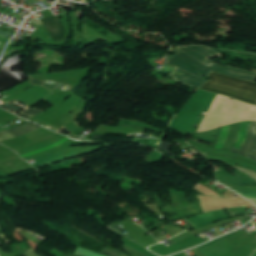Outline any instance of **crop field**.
Instances as JSON below:
<instances>
[{"label": "crop field", "mask_w": 256, "mask_h": 256, "mask_svg": "<svg viewBox=\"0 0 256 256\" xmlns=\"http://www.w3.org/2000/svg\"><path fill=\"white\" fill-rule=\"evenodd\" d=\"M41 112H43V110H36V108L31 107L29 110H27V111H25V112H23L21 114L31 118V117H33V116H35V115H37V114H39Z\"/></svg>", "instance_id": "crop-field-15"}, {"label": "crop field", "mask_w": 256, "mask_h": 256, "mask_svg": "<svg viewBox=\"0 0 256 256\" xmlns=\"http://www.w3.org/2000/svg\"><path fill=\"white\" fill-rule=\"evenodd\" d=\"M7 40H8V38H4V37L0 36V43L5 44Z\"/></svg>", "instance_id": "crop-field-21"}, {"label": "crop field", "mask_w": 256, "mask_h": 256, "mask_svg": "<svg viewBox=\"0 0 256 256\" xmlns=\"http://www.w3.org/2000/svg\"><path fill=\"white\" fill-rule=\"evenodd\" d=\"M247 157L256 161V132L252 139L250 151H249Z\"/></svg>", "instance_id": "crop-field-14"}, {"label": "crop field", "mask_w": 256, "mask_h": 256, "mask_svg": "<svg viewBox=\"0 0 256 256\" xmlns=\"http://www.w3.org/2000/svg\"><path fill=\"white\" fill-rule=\"evenodd\" d=\"M3 44H0V49L2 48Z\"/></svg>", "instance_id": "crop-field-24"}, {"label": "crop field", "mask_w": 256, "mask_h": 256, "mask_svg": "<svg viewBox=\"0 0 256 256\" xmlns=\"http://www.w3.org/2000/svg\"><path fill=\"white\" fill-rule=\"evenodd\" d=\"M39 128H41V127L29 122V123L21 125L17 128H14L12 130L0 132V141L6 140L9 138H13V137H17V136H21L23 134L29 133V132L34 131Z\"/></svg>", "instance_id": "crop-field-5"}, {"label": "crop field", "mask_w": 256, "mask_h": 256, "mask_svg": "<svg viewBox=\"0 0 256 256\" xmlns=\"http://www.w3.org/2000/svg\"><path fill=\"white\" fill-rule=\"evenodd\" d=\"M249 256H256V249Z\"/></svg>", "instance_id": "crop-field-23"}, {"label": "crop field", "mask_w": 256, "mask_h": 256, "mask_svg": "<svg viewBox=\"0 0 256 256\" xmlns=\"http://www.w3.org/2000/svg\"><path fill=\"white\" fill-rule=\"evenodd\" d=\"M206 82V91L231 96L237 100L256 105V84L217 73H211Z\"/></svg>", "instance_id": "crop-field-2"}, {"label": "crop field", "mask_w": 256, "mask_h": 256, "mask_svg": "<svg viewBox=\"0 0 256 256\" xmlns=\"http://www.w3.org/2000/svg\"><path fill=\"white\" fill-rule=\"evenodd\" d=\"M42 22L56 42L65 40V30L59 16L42 19Z\"/></svg>", "instance_id": "crop-field-3"}, {"label": "crop field", "mask_w": 256, "mask_h": 256, "mask_svg": "<svg viewBox=\"0 0 256 256\" xmlns=\"http://www.w3.org/2000/svg\"><path fill=\"white\" fill-rule=\"evenodd\" d=\"M181 72L183 73L182 75H180L179 73L177 72ZM172 76L175 77L176 80L178 81H181L185 84H188V85H191V86H194V87H197V88H201V86L203 85V83L205 82L204 80L184 71V70H181L179 68H177Z\"/></svg>", "instance_id": "crop-field-6"}, {"label": "crop field", "mask_w": 256, "mask_h": 256, "mask_svg": "<svg viewBox=\"0 0 256 256\" xmlns=\"http://www.w3.org/2000/svg\"><path fill=\"white\" fill-rule=\"evenodd\" d=\"M123 246H124V249H125L128 253H130L132 256H145V255L141 254L140 252H138V251H136V250H134V249H131V248L125 246V245H123ZM105 250H108V251H110V252L116 253V254H118V255H120V256H127V255H125V254H123V253H121V252H119V251H117V250H115V249H109V248L106 247Z\"/></svg>", "instance_id": "crop-field-12"}, {"label": "crop field", "mask_w": 256, "mask_h": 256, "mask_svg": "<svg viewBox=\"0 0 256 256\" xmlns=\"http://www.w3.org/2000/svg\"><path fill=\"white\" fill-rule=\"evenodd\" d=\"M226 218V215L224 214L223 210L215 211V212H209L206 214L198 215L192 218H188L187 220L195 227H201L207 224H210L212 222L218 221L220 219Z\"/></svg>", "instance_id": "crop-field-4"}, {"label": "crop field", "mask_w": 256, "mask_h": 256, "mask_svg": "<svg viewBox=\"0 0 256 256\" xmlns=\"http://www.w3.org/2000/svg\"><path fill=\"white\" fill-rule=\"evenodd\" d=\"M22 255H24V256H38L36 254L35 250H33V249L28 251V252H26V253H24V254H22Z\"/></svg>", "instance_id": "crop-field-19"}, {"label": "crop field", "mask_w": 256, "mask_h": 256, "mask_svg": "<svg viewBox=\"0 0 256 256\" xmlns=\"http://www.w3.org/2000/svg\"><path fill=\"white\" fill-rule=\"evenodd\" d=\"M67 139H69V138L66 137L65 139H63V140H61V141H59V142H57V143H55V144H52V145H50V146H47V147L41 148V149H39V150L33 151V152L29 153V154L21 155V157H22V158L28 157V156H31V155L40 153V152H42V151L51 149V148H53V147H55V146H57V145L63 143V142L66 141Z\"/></svg>", "instance_id": "crop-field-13"}, {"label": "crop field", "mask_w": 256, "mask_h": 256, "mask_svg": "<svg viewBox=\"0 0 256 256\" xmlns=\"http://www.w3.org/2000/svg\"><path fill=\"white\" fill-rule=\"evenodd\" d=\"M244 214H247L246 211H244V212H233V213H231L232 216L244 215Z\"/></svg>", "instance_id": "crop-field-20"}, {"label": "crop field", "mask_w": 256, "mask_h": 256, "mask_svg": "<svg viewBox=\"0 0 256 256\" xmlns=\"http://www.w3.org/2000/svg\"><path fill=\"white\" fill-rule=\"evenodd\" d=\"M238 193H240L241 195L245 196V197H254L256 198V192H242V191H236Z\"/></svg>", "instance_id": "crop-field-16"}, {"label": "crop field", "mask_w": 256, "mask_h": 256, "mask_svg": "<svg viewBox=\"0 0 256 256\" xmlns=\"http://www.w3.org/2000/svg\"><path fill=\"white\" fill-rule=\"evenodd\" d=\"M229 127H230V125H229V126H226V127H223V128L221 129V133H220V136H219V140H218V142H217L216 145H215L216 148L222 149V147H223V145H224V143H225V141H226V138L228 137Z\"/></svg>", "instance_id": "crop-field-10"}, {"label": "crop field", "mask_w": 256, "mask_h": 256, "mask_svg": "<svg viewBox=\"0 0 256 256\" xmlns=\"http://www.w3.org/2000/svg\"><path fill=\"white\" fill-rule=\"evenodd\" d=\"M172 52L176 54L171 57L170 61L168 60L169 63L189 71L201 78H203L201 75L208 77L210 72L213 71L252 82L256 81L255 73L231 67L224 68L209 61L208 59L210 56L222 55L207 47H177L176 49H172Z\"/></svg>", "instance_id": "crop-field-1"}, {"label": "crop field", "mask_w": 256, "mask_h": 256, "mask_svg": "<svg viewBox=\"0 0 256 256\" xmlns=\"http://www.w3.org/2000/svg\"><path fill=\"white\" fill-rule=\"evenodd\" d=\"M71 256V255H70Z\"/></svg>", "instance_id": "crop-field-25"}, {"label": "crop field", "mask_w": 256, "mask_h": 256, "mask_svg": "<svg viewBox=\"0 0 256 256\" xmlns=\"http://www.w3.org/2000/svg\"><path fill=\"white\" fill-rule=\"evenodd\" d=\"M238 232H240V230H238V231H236V232H233V233H231V234H229V235H226V236H224V237H221V238H219V239H217V240H215V241H213V242H210V243H208V244H205V245H202V246H200V247H197V250H199V249H201V248H203V247H205V246H207V245H209V244H211V243H214V242H216V241H219V240H221V239H223V238H225V237H227V236H230V235H232V234L238 233Z\"/></svg>", "instance_id": "crop-field-17"}, {"label": "crop field", "mask_w": 256, "mask_h": 256, "mask_svg": "<svg viewBox=\"0 0 256 256\" xmlns=\"http://www.w3.org/2000/svg\"><path fill=\"white\" fill-rule=\"evenodd\" d=\"M0 35H1V36H4V37H8V38L11 39L14 34H13V33L6 32V31H4V30H0Z\"/></svg>", "instance_id": "crop-field-18"}, {"label": "crop field", "mask_w": 256, "mask_h": 256, "mask_svg": "<svg viewBox=\"0 0 256 256\" xmlns=\"http://www.w3.org/2000/svg\"><path fill=\"white\" fill-rule=\"evenodd\" d=\"M255 127H256V123L253 122L252 125H251V128L248 132L247 139H246V142H245L242 150L239 151V150H236V149L232 148L231 152H234L236 154H239V155H242V156L246 157V155L248 153V150H249L250 142H251L252 135H253Z\"/></svg>", "instance_id": "crop-field-8"}, {"label": "crop field", "mask_w": 256, "mask_h": 256, "mask_svg": "<svg viewBox=\"0 0 256 256\" xmlns=\"http://www.w3.org/2000/svg\"><path fill=\"white\" fill-rule=\"evenodd\" d=\"M250 123L251 122H242L241 123L240 129H239L238 140L234 145L235 148L241 149V147L246 139V135H247Z\"/></svg>", "instance_id": "crop-field-9"}, {"label": "crop field", "mask_w": 256, "mask_h": 256, "mask_svg": "<svg viewBox=\"0 0 256 256\" xmlns=\"http://www.w3.org/2000/svg\"><path fill=\"white\" fill-rule=\"evenodd\" d=\"M119 125H124V126H133V127H141V128H148V129H152V130H156V131H160L156 128L144 125L142 123L139 122H134V121H127V120H121ZM162 132V131H160ZM164 133V132H163Z\"/></svg>", "instance_id": "crop-field-11"}, {"label": "crop field", "mask_w": 256, "mask_h": 256, "mask_svg": "<svg viewBox=\"0 0 256 256\" xmlns=\"http://www.w3.org/2000/svg\"><path fill=\"white\" fill-rule=\"evenodd\" d=\"M103 254H106V255H109V256H117V255H115V254H112V253H110V252H107V251H103Z\"/></svg>", "instance_id": "crop-field-22"}, {"label": "crop field", "mask_w": 256, "mask_h": 256, "mask_svg": "<svg viewBox=\"0 0 256 256\" xmlns=\"http://www.w3.org/2000/svg\"><path fill=\"white\" fill-rule=\"evenodd\" d=\"M35 161L37 163L32 164V165L35 168H37V167H41V166H44V165H47V164H51V163H54V162H59V161H61V159L55 153H50V154H47L45 156H42L40 158L35 159Z\"/></svg>", "instance_id": "crop-field-7"}]
</instances>
